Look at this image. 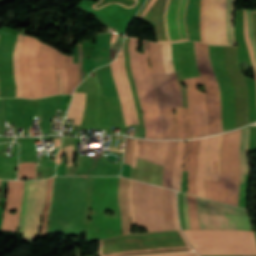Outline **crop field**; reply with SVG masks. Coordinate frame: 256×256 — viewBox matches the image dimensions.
<instances>
[{"mask_svg": "<svg viewBox=\"0 0 256 256\" xmlns=\"http://www.w3.org/2000/svg\"><path fill=\"white\" fill-rule=\"evenodd\" d=\"M57 73H58V81H59V93H63V84H62L60 69L57 70Z\"/></svg>", "mask_w": 256, "mask_h": 256, "instance_id": "54", "label": "crop field"}, {"mask_svg": "<svg viewBox=\"0 0 256 256\" xmlns=\"http://www.w3.org/2000/svg\"><path fill=\"white\" fill-rule=\"evenodd\" d=\"M162 194L166 230H175L173 210L171 204V190L162 188Z\"/></svg>", "mask_w": 256, "mask_h": 256, "instance_id": "26", "label": "crop field"}, {"mask_svg": "<svg viewBox=\"0 0 256 256\" xmlns=\"http://www.w3.org/2000/svg\"><path fill=\"white\" fill-rule=\"evenodd\" d=\"M24 181L8 180L5 209L1 231L16 232L19 225ZM16 209L14 214L9 210Z\"/></svg>", "mask_w": 256, "mask_h": 256, "instance_id": "15", "label": "crop field"}, {"mask_svg": "<svg viewBox=\"0 0 256 256\" xmlns=\"http://www.w3.org/2000/svg\"><path fill=\"white\" fill-rule=\"evenodd\" d=\"M251 14H252L253 34L256 42V12H251Z\"/></svg>", "mask_w": 256, "mask_h": 256, "instance_id": "53", "label": "crop field"}, {"mask_svg": "<svg viewBox=\"0 0 256 256\" xmlns=\"http://www.w3.org/2000/svg\"><path fill=\"white\" fill-rule=\"evenodd\" d=\"M199 255H256L253 231L183 230Z\"/></svg>", "mask_w": 256, "mask_h": 256, "instance_id": "2", "label": "crop field"}, {"mask_svg": "<svg viewBox=\"0 0 256 256\" xmlns=\"http://www.w3.org/2000/svg\"><path fill=\"white\" fill-rule=\"evenodd\" d=\"M190 141H186V153H185V161H184V170L187 171V159L189 155Z\"/></svg>", "mask_w": 256, "mask_h": 256, "instance_id": "52", "label": "crop field"}, {"mask_svg": "<svg viewBox=\"0 0 256 256\" xmlns=\"http://www.w3.org/2000/svg\"><path fill=\"white\" fill-rule=\"evenodd\" d=\"M203 6L200 7L201 41L217 45H235L233 34L234 0H205L204 34H203Z\"/></svg>", "mask_w": 256, "mask_h": 256, "instance_id": "5", "label": "crop field"}, {"mask_svg": "<svg viewBox=\"0 0 256 256\" xmlns=\"http://www.w3.org/2000/svg\"><path fill=\"white\" fill-rule=\"evenodd\" d=\"M190 216V229H200L197 220L196 197L187 194Z\"/></svg>", "mask_w": 256, "mask_h": 256, "instance_id": "32", "label": "crop field"}, {"mask_svg": "<svg viewBox=\"0 0 256 256\" xmlns=\"http://www.w3.org/2000/svg\"><path fill=\"white\" fill-rule=\"evenodd\" d=\"M39 45L40 41L27 35L23 40L19 57L23 97H41L39 90L38 68L36 66Z\"/></svg>", "mask_w": 256, "mask_h": 256, "instance_id": "12", "label": "crop field"}, {"mask_svg": "<svg viewBox=\"0 0 256 256\" xmlns=\"http://www.w3.org/2000/svg\"><path fill=\"white\" fill-rule=\"evenodd\" d=\"M221 143H222V134L219 135V144H218V148H217L215 180H219V177H220V146H221Z\"/></svg>", "mask_w": 256, "mask_h": 256, "instance_id": "43", "label": "crop field"}, {"mask_svg": "<svg viewBox=\"0 0 256 256\" xmlns=\"http://www.w3.org/2000/svg\"><path fill=\"white\" fill-rule=\"evenodd\" d=\"M137 39L130 38L129 56L131 70L136 82L139 95L140 106L143 111L144 123L155 119L159 114L155 87L151 76V70L148 65V54L146 41H143L144 55L136 52Z\"/></svg>", "mask_w": 256, "mask_h": 256, "instance_id": "6", "label": "crop field"}, {"mask_svg": "<svg viewBox=\"0 0 256 256\" xmlns=\"http://www.w3.org/2000/svg\"><path fill=\"white\" fill-rule=\"evenodd\" d=\"M174 107H170L161 114L163 122L164 139H177L176 124L174 120Z\"/></svg>", "mask_w": 256, "mask_h": 256, "instance_id": "24", "label": "crop field"}, {"mask_svg": "<svg viewBox=\"0 0 256 256\" xmlns=\"http://www.w3.org/2000/svg\"><path fill=\"white\" fill-rule=\"evenodd\" d=\"M65 69L68 75V93H72L75 86L79 84L77 64H73V55H65Z\"/></svg>", "mask_w": 256, "mask_h": 256, "instance_id": "27", "label": "crop field"}, {"mask_svg": "<svg viewBox=\"0 0 256 256\" xmlns=\"http://www.w3.org/2000/svg\"><path fill=\"white\" fill-rule=\"evenodd\" d=\"M133 141L134 139L127 137L124 163L129 165L131 164V155L133 152Z\"/></svg>", "mask_w": 256, "mask_h": 256, "instance_id": "40", "label": "crop field"}, {"mask_svg": "<svg viewBox=\"0 0 256 256\" xmlns=\"http://www.w3.org/2000/svg\"><path fill=\"white\" fill-rule=\"evenodd\" d=\"M175 146L176 141H168V150L165 160V167L163 173V187H167L171 189V181H172V166L175 155Z\"/></svg>", "mask_w": 256, "mask_h": 256, "instance_id": "23", "label": "crop field"}, {"mask_svg": "<svg viewBox=\"0 0 256 256\" xmlns=\"http://www.w3.org/2000/svg\"><path fill=\"white\" fill-rule=\"evenodd\" d=\"M123 52H124V49H122V51L120 52V66H121L122 74L124 76V80H125V83H126V86H127L131 107L133 109L134 122H135V124H139L137 114H136L135 105H134V101H133V96H132V93H131L130 84H129V81L127 79L126 71H125V68H124V54H123Z\"/></svg>", "mask_w": 256, "mask_h": 256, "instance_id": "33", "label": "crop field"}, {"mask_svg": "<svg viewBox=\"0 0 256 256\" xmlns=\"http://www.w3.org/2000/svg\"><path fill=\"white\" fill-rule=\"evenodd\" d=\"M99 242L101 243V251L102 252L189 245L187 243L185 237L183 236L181 230L150 232V233H144V234H124V235H119V236H115V237H111V238H107V239H102V240H99ZM184 248H190V246L146 249V250H133V251H120V252H108V253H103V254L169 250V249H184ZM190 250H192V249L126 253V254H111V255H104V256L159 254V253H172V252H182V251H190Z\"/></svg>", "mask_w": 256, "mask_h": 256, "instance_id": "3", "label": "crop field"}, {"mask_svg": "<svg viewBox=\"0 0 256 256\" xmlns=\"http://www.w3.org/2000/svg\"><path fill=\"white\" fill-rule=\"evenodd\" d=\"M64 149H65V152L68 156L67 166L74 165V160H73L74 147H73V145H71L69 147H65Z\"/></svg>", "mask_w": 256, "mask_h": 256, "instance_id": "45", "label": "crop field"}, {"mask_svg": "<svg viewBox=\"0 0 256 256\" xmlns=\"http://www.w3.org/2000/svg\"><path fill=\"white\" fill-rule=\"evenodd\" d=\"M188 0H148L136 17L154 26L157 42L189 40L185 21Z\"/></svg>", "mask_w": 256, "mask_h": 256, "instance_id": "1", "label": "crop field"}, {"mask_svg": "<svg viewBox=\"0 0 256 256\" xmlns=\"http://www.w3.org/2000/svg\"><path fill=\"white\" fill-rule=\"evenodd\" d=\"M177 144H178V141H177ZM184 151H185V141H179L178 154H176L174 166H173V185H172V189L179 190V191H181V177H182Z\"/></svg>", "mask_w": 256, "mask_h": 256, "instance_id": "22", "label": "crop field"}, {"mask_svg": "<svg viewBox=\"0 0 256 256\" xmlns=\"http://www.w3.org/2000/svg\"><path fill=\"white\" fill-rule=\"evenodd\" d=\"M63 152V149L61 148L58 152V157H57V164H60V155Z\"/></svg>", "mask_w": 256, "mask_h": 256, "instance_id": "55", "label": "crop field"}, {"mask_svg": "<svg viewBox=\"0 0 256 256\" xmlns=\"http://www.w3.org/2000/svg\"><path fill=\"white\" fill-rule=\"evenodd\" d=\"M86 93L75 92L71 101L68 118H74L73 124L80 125L84 107H85Z\"/></svg>", "mask_w": 256, "mask_h": 256, "instance_id": "20", "label": "crop field"}, {"mask_svg": "<svg viewBox=\"0 0 256 256\" xmlns=\"http://www.w3.org/2000/svg\"><path fill=\"white\" fill-rule=\"evenodd\" d=\"M239 139L240 129L223 134L220 181H205L206 198L237 206L240 179Z\"/></svg>", "mask_w": 256, "mask_h": 256, "instance_id": "4", "label": "crop field"}, {"mask_svg": "<svg viewBox=\"0 0 256 256\" xmlns=\"http://www.w3.org/2000/svg\"><path fill=\"white\" fill-rule=\"evenodd\" d=\"M167 141H146L140 139L139 158L164 165Z\"/></svg>", "mask_w": 256, "mask_h": 256, "instance_id": "17", "label": "crop field"}, {"mask_svg": "<svg viewBox=\"0 0 256 256\" xmlns=\"http://www.w3.org/2000/svg\"><path fill=\"white\" fill-rule=\"evenodd\" d=\"M127 187H128V179L125 178L124 190H123V200L126 209V225H127V233H131L130 230V217L127 203Z\"/></svg>", "mask_w": 256, "mask_h": 256, "instance_id": "38", "label": "crop field"}, {"mask_svg": "<svg viewBox=\"0 0 256 256\" xmlns=\"http://www.w3.org/2000/svg\"><path fill=\"white\" fill-rule=\"evenodd\" d=\"M148 256H195L192 252L184 253H172V254H160V255H148Z\"/></svg>", "mask_w": 256, "mask_h": 256, "instance_id": "50", "label": "crop field"}, {"mask_svg": "<svg viewBox=\"0 0 256 256\" xmlns=\"http://www.w3.org/2000/svg\"><path fill=\"white\" fill-rule=\"evenodd\" d=\"M124 178L120 177L119 190H118V203L122 214V234L126 233L125 229V212L122 201V189H123Z\"/></svg>", "mask_w": 256, "mask_h": 256, "instance_id": "37", "label": "crop field"}, {"mask_svg": "<svg viewBox=\"0 0 256 256\" xmlns=\"http://www.w3.org/2000/svg\"><path fill=\"white\" fill-rule=\"evenodd\" d=\"M144 126L145 138L163 139L162 123L160 116L155 121L145 123Z\"/></svg>", "mask_w": 256, "mask_h": 256, "instance_id": "30", "label": "crop field"}, {"mask_svg": "<svg viewBox=\"0 0 256 256\" xmlns=\"http://www.w3.org/2000/svg\"><path fill=\"white\" fill-rule=\"evenodd\" d=\"M162 48H163V56H164L166 73L168 75L175 72L173 61H172L171 44H162Z\"/></svg>", "mask_w": 256, "mask_h": 256, "instance_id": "35", "label": "crop field"}, {"mask_svg": "<svg viewBox=\"0 0 256 256\" xmlns=\"http://www.w3.org/2000/svg\"><path fill=\"white\" fill-rule=\"evenodd\" d=\"M198 214L247 215L245 210L197 197ZM198 215L201 229L251 230L247 216Z\"/></svg>", "mask_w": 256, "mask_h": 256, "instance_id": "8", "label": "crop field"}, {"mask_svg": "<svg viewBox=\"0 0 256 256\" xmlns=\"http://www.w3.org/2000/svg\"><path fill=\"white\" fill-rule=\"evenodd\" d=\"M199 141L200 139L191 141V148H190V155H189L187 193L194 194V195H196L194 178H195L196 167H197V154H198Z\"/></svg>", "mask_w": 256, "mask_h": 256, "instance_id": "19", "label": "crop field"}, {"mask_svg": "<svg viewBox=\"0 0 256 256\" xmlns=\"http://www.w3.org/2000/svg\"><path fill=\"white\" fill-rule=\"evenodd\" d=\"M23 37H24L23 35H20V34L18 35L14 54H13V69H14V78L16 81V97H22V85L20 84L18 56H19V51H20Z\"/></svg>", "mask_w": 256, "mask_h": 256, "instance_id": "28", "label": "crop field"}, {"mask_svg": "<svg viewBox=\"0 0 256 256\" xmlns=\"http://www.w3.org/2000/svg\"><path fill=\"white\" fill-rule=\"evenodd\" d=\"M247 17H248V30H249V36H250V40H251V45H252V49H253V53L256 59V46H255V42L252 36V27H251V16H250V9H247Z\"/></svg>", "mask_w": 256, "mask_h": 256, "instance_id": "44", "label": "crop field"}, {"mask_svg": "<svg viewBox=\"0 0 256 256\" xmlns=\"http://www.w3.org/2000/svg\"><path fill=\"white\" fill-rule=\"evenodd\" d=\"M78 68H79V78L82 81V53H81V43H79V54H78Z\"/></svg>", "mask_w": 256, "mask_h": 256, "instance_id": "48", "label": "crop field"}, {"mask_svg": "<svg viewBox=\"0 0 256 256\" xmlns=\"http://www.w3.org/2000/svg\"><path fill=\"white\" fill-rule=\"evenodd\" d=\"M0 183H1V180H0Z\"/></svg>", "mask_w": 256, "mask_h": 256, "instance_id": "57", "label": "crop field"}, {"mask_svg": "<svg viewBox=\"0 0 256 256\" xmlns=\"http://www.w3.org/2000/svg\"><path fill=\"white\" fill-rule=\"evenodd\" d=\"M187 86L188 111L191 128V138L209 135L205 108V94L196 90L197 85H202L200 77L184 80Z\"/></svg>", "mask_w": 256, "mask_h": 256, "instance_id": "13", "label": "crop field"}, {"mask_svg": "<svg viewBox=\"0 0 256 256\" xmlns=\"http://www.w3.org/2000/svg\"><path fill=\"white\" fill-rule=\"evenodd\" d=\"M94 178L95 177L89 176V180H88V188H87L81 235L87 234V230H88L89 217L91 213V200H92V189H93Z\"/></svg>", "mask_w": 256, "mask_h": 256, "instance_id": "29", "label": "crop field"}, {"mask_svg": "<svg viewBox=\"0 0 256 256\" xmlns=\"http://www.w3.org/2000/svg\"><path fill=\"white\" fill-rule=\"evenodd\" d=\"M46 179L43 181H25L24 198L18 233L25 240L39 237V227L45 199Z\"/></svg>", "mask_w": 256, "mask_h": 256, "instance_id": "10", "label": "crop field"}, {"mask_svg": "<svg viewBox=\"0 0 256 256\" xmlns=\"http://www.w3.org/2000/svg\"><path fill=\"white\" fill-rule=\"evenodd\" d=\"M172 198H176V192L172 191ZM173 203V209H174V217H175V226L176 230L180 229L179 224H178V218H177V203L176 199H172Z\"/></svg>", "mask_w": 256, "mask_h": 256, "instance_id": "47", "label": "crop field"}, {"mask_svg": "<svg viewBox=\"0 0 256 256\" xmlns=\"http://www.w3.org/2000/svg\"><path fill=\"white\" fill-rule=\"evenodd\" d=\"M182 197H183V209H184L185 226H186V229H189V217H188L186 194L182 193Z\"/></svg>", "mask_w": 256, "mask_h": 256, "instance_id": "46", "label": "crop field"}, {"mask_svg": "<svg viewBox=\"0 0 256 256\" xmlns=\"http://www.w3.org/2000/svg\"><path fill=\"white\" fill-rule=\"evenodd\" d=\"M249 141V126L241 129L240 139V166H241V181L240 185L244 183V174H249V165L247 160Z\"/></svg>", "mask_w": 256, "mask_h": 256, "instance_id": "21", "label": "crop field"}, {"mask_svg": "<svg viewBox=\"0 0 256 256\" xmlns=\"http://www.w3.org/2000/svg\"><path fill=\"white\" fill-rule=\"evenodd\" d=\"M18 33L5 27L0 33V97H15L12 53Z\"/></svg>", "mask_w": 256, "mask_h": 256, "instance_id": "14", "label": "crop field"}, {"mask_svg": "<svg viewBox=\"0 0 256 256\" xmlns=\"http://www.w3.org/2000/svg\"><path fill=\"white\" fill-rule=\"evenodd\" d=\"M52 181H53V177L47 179L46 201H45V205H44L43 224H42V228H41V235L46 234V226H47V219H48V212H49V205H50Z\"/></svg>", "mask_w": 256, "mask_h": 256, "instance_id": "31", "label": "crop field"}, {"mask_svg": "<svg viewBox=\"0 0 256 256\" xmlns=\"http://www.w3.org/2000/svg\"><path fill=\"white\" fill-rule=\"evenodd\" d=\"M148 54L152 68L153 79L166 75L161 44L149 42ZM160 111L169 106H183L182 93L175 73L154 81Z\"/></svg>", "mask_w": 256, "mask_h": 256, "instance_id": "9", "label": "crop field"}, {"mask_svg": "<svg viewBox=\"0 0 256 256\" xmlns=\"http://www.w3.org/2000/svg\"><path fill=\"white\" fill-rule=\"evenodd\" d=\"M132 187H133V181L129 179L128 201H129L130 214H131V223L133 225L135 224V216H134V210H133V204H132Z\"/></svg>", "mask_w": 256, "mask_h": 256, "instance_id": "42", "label": "crop field"}, {"mask_svg": "<svg viewBox=\"0 0 256 256\" xmlns=\"http://www.w3.org/2000/svg\"><path fill=\"white\" fill-rule=\"evenodd\" d=\"M55 145H56V148L61 146L60 139H55Z\"/></svg>", "mask_w": 256, "mask_h": 256, "instance_id": "56", "label": "crop field"}, {"mask_svg": "<svg viewBox=\"0 0 256 256\" xmlns=\"http://www.w3.org/2000/svg\"><path fill=\"white\" fill-rule=\"evenodd\" d=\"M138 141L137 139H135V145H134V153L132 156V164L131 166L135 167L136 161H137V156H138Z\"/></svg>", "mask_w": 256, "mask_h": 256, "instance_id": "49", "label": "crop field"}, {"mask_svg": "<svg viewBox=\"0 0 256 256\" xmlns=\"http://www.w3.org/2000/svg\"><path fill=\"white\" fill-rule=\"evenodd\" d=\"M208 139L202 138L200 141V147H199V154H198V168H197V174L195 178V186H196V192L197 195L204 196V176H205V170H206V152L208 147Z\"/></svg>", "mask_w": 256, "mask_h": 256, "instance_id": "18", "label": "crop field"}, {"mask_svg": "<svg viewBox=\"0 0 256 256\" xmlns=\"http://www.w3.org/2000/svg\"><path fill=\"white\" fill-rule=\"evenodd\" d=\"M110 65L112 68L115 85H116L117 92L121 102L125 126L127 127L129 125L134 124V122H133L132 109L130 108V105H129L127 90L125 87L123 76L120 72L119 56L116 58L115 61L110 63Z\"/></svg>", "mask_w": 256, "mask_h": 256, "instance_id": "16", "label": "crop field"}, {"mask_svg": "<svg viewBox=\"0 0 256 256\" xmlns=\"http://www.w3.org/2000/svg\"><path fill=\"white\" fill-rule=\"evenodd\" d=\"M217 141L218 135L210 137V143L207 152V170L205 180H214L215 177V153Z\"/></svg>", "mask_w": 256, "mask_h": 256, "instance_id": "25", "label": "crop field"}, {"mask_svg": "<svg viewBox=\"0 0 256 256\" xmlns=\"http://www.w3.org/2000/svg\"><path fill=\"white\" fill-rule=\"evenodd\" d=\"M184 115H185V131H186V139L190 138L189 132V122H188V111L184 108Z\"/></svg>", "mask_w": 256, "mask_h": 256, "instance_id": "51", "label": "crop field"}, {"mask_svg": "<svg viewBox=\"0 0 256 256\" xmlns=\"http://www.w3.org/2000/svg\"><path fill=\"white\" fill-rule=\"evenodd\" d=\"M58 68H61L63 84H64V93H66L67 78H66V74H65V70H64V55H62L60 52H58V57H57V69Z\"/></svg>", "mask_w": 256, "mask_h": 256, "instance_id": "39", "label": "crop field"}, {"mask_svg": "<svg viewBox=\"0 0 256 256\" xmlns=\"http://www.w3.org/2000/svg\"><path fill=\"white\" fill-rule=\"evenodd\" d=\"M244 38H245L246 43L248 45V49H249L252 65H253V67H254V69L256 71L255 60H254V56H253V53H252V49H251V45H250V41H249V36H248V31H247L246 11L245 10H244Z\"/></svg>", "mask_w": 256, "mask_h": 256, "instance_id": "41", "label": "crop field"}, {"mask_svg": "<svg viewBox=\"0 0 256 256\" xmlns=\"http://www.w3.org/2000/svg\"><path fill=\"white\" fill-rule=\"evenodd\" d=\"M175 118H176V124H177L178 139H185L183 108L175 107Z\"/></svg>", "mask_w": 256, "mask_h": 256, "instance_id": "36", "label": "crop field"}, {"mask_svg": "<svg viewBox=\"0 0 256 256\" xmlns=\"http://www.w3.org/2000/svg\"><path fill=\"white\" fill-rule=\"evenodd\" d=\"M36 163L24 162L19 164L18 178H35Z\"/></svg>", "mask_w": 256, "mask_h": 256, "instance_id": "34", "label": "crop field"}, {"mask_svg": "<svg viewBox=\"0 0 256 256\" xmlns=\"http://www.w3.org/2000/svg\"><path fill=\"white\" fill-rule=\"evenodd\" d=\"M133 202L137 224L148 232L165 230L160 187L134 181Z\"/></svg>", "mask_w": 256, "mask_h": 256, "instance_id": "7", "label": "crop field"}, {"mask_svg": "<svg viewBox=\"0 0 256 256\" xmlns=\"http://www.w3.org/2000/svg\"><path fill=\"white\" fill-rule=\"evenodd\" d=\"M199 73L205 86L210 135L220 133L217 84L212 75L206 44L193 42Z\"/></svg>", "mask_w": 256, "mask_h": 256, "instance_id": "11", "label": "crop field"}]
</instances>
